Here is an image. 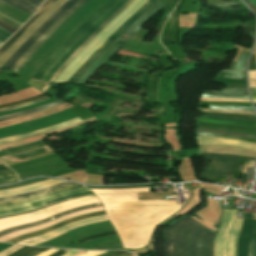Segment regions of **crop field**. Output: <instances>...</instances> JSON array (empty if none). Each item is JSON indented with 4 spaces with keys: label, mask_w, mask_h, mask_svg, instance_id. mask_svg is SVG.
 <instances>
[{
    "label": "crop field",
    "mask_w": 256,
    "mask_h": 256,
    "mask_svg": "<svg viewBox=\"0 0 256 256\" xmlns=\"http://www.w3.org/2000/svg\"><path fill=\"white\" fill-rule=\"evenodd\" d=\"M215 231L186 217L166 230L165 256H212Z\"/></svg>",
    "instance_id": "8a807250"
},
{
    "label": "crop field",
    "mask_w": 256,
    "mask_h": 256,
    "mask_svg": "<svg viewBox=\"0 0 256 256\" xmlns=\"http://www.w3.org/2000/svg\"><path fill=\"white\" fill-rule=\"evenodd\" d=\"M118 0H108L98 11H96L85 23H83L71 37L60 46L51 57L41 66L36 72L33 78L41 79L47 72L53 63H55L59 57L72 45V43L86 31L97 19H99L111 6H113ZM127 0H119L113 7H111L99 20H97L82 36H80L74 44L61 56V58L53 64L47 74L43 77V80H49L55 71L70 57L75 49L105 20H107L120 6H122Z\"/></svg>",
    "instance_id": "ac0d7876"
},
{
    "label": "crop field",
    "mask_w": 256,
    "mask_h": 256,
    "mask_svg": "<svg viewBox=\"0 0 256 256\" xmlns=\"http://www.w3.org/2000/svg\"><path fill=\"white\" fill-rule=\"evenodd\" d=\"M163 5L164 3L156 1V3L149 10H147L139 19L129 26L126 31L98 57V59L81 75L76 84L85 85L86 81L106 62V60L114 55L122 47V45Z\"/></svg>",
    "instance_id": "34b2d1b8"
},
{
    "label": "crop field",
    "mask_w": 256,
    "mask_h": 256,
    "mask_svg": "<svg viewBox=\"0 0 256 256\" xmlns=\"http://www.w3.org/2000/svg\"><path fill=\"white\" fill-rule=\"evenodd\" d=\"M202 156L205 167L200 178L209 180H216L219 175L226 176L227 174H232L238 158L255 160L235 155L202 154ZM210 160H213L212 164L207 163Z\"/></svg>",
    "instance_id": "412701ff"
},
{
    "label": "crop field",
    "mask_w": 256,
    "mask_h": 256,
    "mask_svg": "<svg viewBox=\"0 0 256 256\" xmlns=\"http://www.w3.org/2000/svg\"><path fill=\"white\" fill-rule=\"evenodd\" d=\"M70 184H73V183H71L69 181H66V182H63V183H60V184H57V185H53V186H50V187H47V188H44V189H41V190H38V191H34V192L26 193V194H21V195H17V196H12V197L0 198V202L21 200V199L29 198V197H32V196H36V195H39V194H42V193H45V192H49V191H52V190L70 185ZM81 188H84V187L80 186V185L73 184V185H70V186H67V187H64V188L46 193V194H42V195H39V196H36V197H32V198H29V199H25V200H21V201L1 203L0 204V209L19 206V205H22V204H27V203L47 199V198H50V197H53V196H57V195H60V194L66 193V192H70V191H73V190L81 189Z\"/></svg>",
    "instance_id": "f4fd0767"
},
{
    "label": "crop field",
    "mask_w": 256,
    "mask_h": 256,
    "mask_svg": "<svg viewBox=\"0 0 256 256\" xmlns=\"http://www.w3.org/2000/svg\"><path fill=\"white\" fill-rule=\"evenodd\" d=\"M156 0H148L134 15H132L119 29H117L80 67V69L67 81L75 84L79 76L96 60V58L109 47L123 32L132 24L138 17H140L148 8H150Z\"/></svg>",
    "instance_id": "dd49c442"
},
{
    "label": "crop field",
    "mask_w": 256,
    "mask_h": 256,
    "mask_svg": "<svg viewBox=\"0 0 256 256\" xmlns=\"http://www.w3.org/2000/svg\"><path fill=\"white\" fill-rule=\"evenodd\" d=\"M78 0H69L54 14L51 15L14 53V55L3 65L2 69L9 71V69L17 62V60L27 51V49L74 3Z\"/></svg>",
    "instance_id": "e52e79f7"
},
{
    "label": "crop field",
    "mask_w": 256,
    "mask_h": 256,
    "mask_svg": "<svg viewBox=\"0 0 256 256\" xmlns=\"http://www.w3.org/2000/svg\"><path fill=\"white\" fill-rule=\"evenodd\" d=\"M87 0H79L70 9H68L18 60V62L11 68L12 70L19 71L20 68L27 62V60L38 50V48L54 33V31L80 6Z\"/></svg>",
    "instance_id": "d8731c3e"
},
{
    "label": "crop field",
    "mask_w": 256,
    "mask_h": 256,
    "mask_svg": "<svg viewBox=\"0 0 256 256\" xmlns=\"http://www.w3.org/2000/svg\"><path fill=\"white\" fill-rule=\"evenodd\" d=\"M198 144L199 145H222V146L236 147V148L256 151V144L223 139V138H215V137L198 136Z\"/></svg>",
    "instance_id": "5a996713"
},
{
    "label": "crop field",
    "mask_w": 256,
    "mask_h": 256,
    "mask_svg": "<svg viewBox=\"0 0 256 256\" xmlns=\"http://www.w3.org/2000/svg\"><path fill=\"white\" fill-rule=\"evenodd\" d=\"M57 0H47L38 12L18 31L16 32L1 48L0 56Z\"/></svg>",
    "instance_id": "3316defc"
},
{
    "label": "crop field",
    "mask_w": 256,
    "mask_h": 256,
    "mask_svg": "<svg viewBox=\"0 0 256 256\" xmlns=\"http://www.w3.org/2000/svg\"><path fill=\"white\" fill-rule=\"evenodd\" d=\"M132 0H128L115 14H113L105 23H103L75 52L74 54L56 71L55 75L50 79L47 85L42 90L43 92L51 85L59 73L66 67V65L78 54V52L88 44L116 15L125 9Z\"/></svg>",
    "instance_id": "28ad6ade"
},
{
    "label": "crop field",
    "mask_w": 256,
    "mask_h": 256,
    "mask_svg": "<svg viewBox=\"0 0 256 256\" xmlns=\"http://www.w3.org/2000/svg\"><path fill=\"white\" fill-rule=\"evenodd\" d=\"M104 214H106L105 211H101V212H95V213H90V214H85V215L77 216V217L68 219V220H66V221H63V222H61V223H58V224H56V225H53V226L44 228V229H42V230H40V231L33 232V233H30V234H26V235H23V236H20V237L11 239V240L6 241V242H13V243H16V242H18V241H21V240H24V239H28V238L34 237V236H36V235H39V234H42V233H46V232L55 230V229H57V228L62 227L63 225H65V224H67V223H71V222H74V221L82 220V219L89 218V217H93V216L104 215Z\"/></svg>",
    "instance_id": "d1516ede"
},
{
    "label": "crop field",
    "mask_w": 256,
    "mask_h": 256,
    "mask_svg": "<svg viewBox=\"0 0 256 256\" xmlns=\"http://www.w3.org/2000/svg\"><path fill=\"white\" fill-rule=\"evenodd\" d=\"M63 182V180H56V179H50L47 181L35 183V184H30L18 188H13V189H7V190H1L0 191V197H6V196H12V195H17L21 193H26L34 190H38L56 183Z\"/></svg>",
    "instance_id": "22f410ed"
},
{
    "label": "crop field",
    "mask_w": 256,
    "mask_h": 256,
    "mask_svg": "<svg viewBox=\"0 0 256 256\" xmlns=\"http://www.w3.org/2000/svg\"><path fill=\"white\" fill-rule=\"evenodd\" d=\"M254 220L244 219L242 230L237 244V256H247L249 237L252 232Z\"/></svg>",
    "instance_id": "cbeb9de0"
},
{
    "label": "crop field",
    "mask_w": 256,
    "mask_h": 256,
    "mask_svg": "<svg viewBox=\"0 0 256 256\" xmlns=\"http://www.w3.org/2000/svg\"><path fill=\"white\" fill-rule=\"evenodd\" d=\"M78 121H81V119H79L78 117H76V118H74V119L68 120V121H66V122L60 123V124L55 125V126H51V127H47V128H44V129H40V130L28 132V133L21 134V135H17V136L2 138V139H0V144H2V143H7V142H11V141H16V140H20V139H24V138L36 136V135H40V134L46 133V132H48V131L55 130V129H59V128L65 127V126H67V125L76 123V122H78Z\"/></svg>",
    "instance_id": "5142ce71"
},
{
    "label": "crop field",
    "mask_w": 256,
    "mask_h": 256,
    "mask_svg": "<svg viewBox=\"0 0 256 256\" xmlns=\"http://www.w3.org/2000/svg\"><path fill=\"white\" fill-rule=\"evenodd\" d=\"M84 191H88V189L87 188L81 189V190H78V191H74V192H71V193L63 194V195H60V196H57V197H54V198H50V199H47V200H44V201H40V202H36V203H32V204H27V205L15 207V208L3 209V210H0V216L10 215V214L22 212V211H25V210H29V209L45 206L44 203H46V202L53 201V200H56V199H59V198H63V197L69 196L71 194H75V193H79V192H84Z\"/></svg>",
    "instance_id": "d9b57169"
},
{
    "label": "crop field",
    "mask_w": 256,
    "mask_h": 256,
    "mask_svg": "<svg viewBox=\"0 0 256 256\" xmlns=\"http://www.w3.org/2000/svg\"><path fill=\"white\" fill-rule=\"evenodd\" d=\"M97 206H101V203H96V204H90V205H85V206H81V207H77V208H73V209H70V210H67V211H64V212H61L59 214H56L52 217H49L45 220H41V221H37V222H34L32 224H28V225H23V226H17V227H13V228H10V229H7V230H4V231H1L0 232V236L1 235H4V234H7L11 231H15V230H19V229H22V228H26V227H30V226H34V225H39V224H43V223H46V222H49V221H52L60 216H63L65 214H68V213H71V212H74V211H78V210H82V209H87V208H93V207H97Z\"/></svg>",
    "instance_id": "733c2abd"
},
{
    "label": "crop field",
    "mask_w": 256,
    "mask_h": 256,
    "mask_svg": "<svg viewBox=\"0 0 256 256\" xmlns=\"http://www.w3.org/2000/svg\"><path fill=\"white\" fill-rule=\"evenodd\" d=\"M200 152L204 153H229V154H235L240 156H246V157H256L255 152L242 150V149H236V148H229V147H204L200 146Z\"/></svg>",
    "instance_id": "4a817a6b"
},
{
    "label": "crop field",
    "mask_w": 256,
    "mask_h": 256,
    "mask_svg": "<svg viewBox=\"0 0 256 256\" xmlns=\"http://www.w3.org/2000/svg\"><path fill=\"white\" fill-rule=\"evenodd\" d=\"M0 13L4 14L20 23H24L27 19L30 18V15L4 3L0 0Z\"/></svg>",
    "instance_id": "bc2a9ffb"
},
{
    "label": "crop field",
    "mask_w": 256,
    "mask_h": 256,
    "mask_svg": "<svg viewBox=\"0 0 256 256\" xmlns=\"http://www.w3.org/2000/svg\"><path fill=\"white\" fill-rule=\"evenodd\" d=\"M29 14H34L44 0H3Z\"/></svg>",
    "instance_id": "214f88e0"
},
{
    "label": "crop field",
    "mask_w": 256,
    "mask_h": 256,
    "mask_svg": "<svg viewBox=\"0 0 256 256\" xmlns=\"http://www.w3.org/2000/svg\"><path fill=\"white\" fill-rule=\"evenodd\" d=\"M61 103H65V102H64V101H61V100H58V101H54V102L45 104V105H43V106H39V107L30 109V110H26V111L14 113V114L6 115V116H1V117H0V121H1V120H5V119H9V118H13V117H16V116L24 115V114L36 112V111H39V110H42V109H45V108H48V107H52V106L61 104Z\"/></svg>",
    "instance_id": "92a150f3"
},
{
    "label": "crop field",
    "mask_w": 256,
    "mask_h": 256,
    "mask_svg": "<svg viewBox=\"0 0 256 256\" xmlns=\"http://www.w3.org/2000/svg\"><path fill=\"white\" fill-rule=\"evenodd\" d=\"M202 93L247 95V89L222 88L221 91H203Z\"/></svg>",
    "instance_id": "dafd665d"
},
{
    "label": "crop field",
    "mask_w": 256,
    "mask_h": 256,
    "mask_svg": "<svg viewBox=\"0 0 256 256\" xmlns=\"http://www.w3.org/2000/svg\"><path fill=\"white\" fill-rule=\"evenodd\" d=\"M197 119H198V121H202V122L256 127V124H252V123H243V122H237V121H224V120H211V119H203V118H197Z\"/></svg>",
    "instance_id": "00972430"
},
{
    "label": "crop field",
    "mask_w": 256,
    "mask_h": 256,
    "mask_svg": "<svg viewBox=\"0 0 256 256\" xmlns=\"http://www.w3.org/2000/svg\"><path fill=\"white\" fill-rule=\"evenodd\" d=\"M248 256H256V220L254 222L253 233L250 237Z\"/></svg>",
    "instance_id": "a9b5d70f"
},
{
    "label": "crop field",
    "mask_w": 256,
    "mask_h": 256,
    "mask_svg": "<svg viewBox=\"0 0 256 256\" xmlns=\"http://www.w3.org/2000/svg\"><path fill=\"white\" fill-rule=\"evenodd\" d=\"M48 249H44V248H33L30 247L24 251H22L21 253L17 254L16 256H35L41 252H44Z\"/></svg>",
    "instance_id": "4177f3b9"
},
{
    "label": "crop field",
    "mask_w": 256,
    "mask_h": 256,
    "mask_svg": "<svg viewBox=\"0 0 256 256\" xmlns=\"http://www.w3.org/2000/svg\"><path fill=\"white\" fill-rule=\"evenodd\" d=\"M115 234H116V232H115V230H113V231H109V232L93 235V236H90V237H86V238L80 239V240L75 241V242L81 244L83 242H86V241H89V240H92V239H96V238H100V237H105V236H110V235H115Z\"/></svg>",
    "instance_id": "730fd06b"
},
{
    "label": "crop field",
    "mask_w": 256,
    "mask_h": 256,
    "mask_svg": "<svg viewBox=\"0 0 256 256\" xmlns=\"http://www.w3.org/2000/svg\"><path fill=\"white\" fill-rule=\"evenodd\" d=\"M196 130H197V131H203V132H212V133H218V134L242 136V137H248V138L256 139V136H254V135H246V134H238V133H229V132L214 131V130H203V129H196Z\"/></svg>",
    "instance_id": "eef30255"
},
{
    "label": "crop field",
    "mask_w": 256,
    "mask_h": 256,
    "mask_svg": "<svg viewBox=\"0 0 256 256\" xmlns=\"http://www.w3.org/2000/svg\"><path fill=\"white\" fill-rule=\"evenodd\" d=\"M200 111L226 112V113H236V114H248V115H254V112L236 111V110H217V109H204V108H200Z\"/></svg>",
    "instance_id": "ae1a2a85"
},
{
    "label": "crop field",
    "mask_w": 256,
    "mask_h": 256,
    "mask_svg": "<svg viewBox=\"0 0 256 256\" xmlns=\"http://www.w3.org/2000/svg\"><path fill=\"white\" fill-rule=\"evenodd\" d=\"M50 98H52V97L46 96L44 98L38 99V100L33 101V102H29V103H25V104L13 106V107L5 108V109H0V112H4V111L20 108V107H23V106L31 105V104H34V103L42 102V101H45V100L50 99Z\"/></svg>",
    "instance_id": "d3111659"
},
{
    "label": "crop field",
    "mask_w": 256,
    "mask_h": 256,
    "mask_svg": "<svg viewBox=\"0 0 256 256\" xmlns=\"http://www.w3.org/2000/svg\"><path fill=\"white\" fill-rule=\"evenodd\" d=\"M197 135L219 136V137H224V138H230V139H236V140H243V141H249V142L256 143V140L248 139V138H242V137L217 135V134H211V133H197Z\"/></svg>",
    "instance_id": "750c4746"
},
{
    "label": "crop field",
    "mask_w": 256,
    "mask_h": 256,
    "mask_svg": "<svg viewBox=\"0 0 256 256\" xmlns=\"http://www.w3.org/2000/svg\"><path fill=\"white\" fill-rule=\"evenodd\" d=\"M42 96H45V95L41 94V95H37V96L31 97V98H28V99L23 100V101H18V102H12V103H8V104H4V105H1L0 108L9 107V106H13V105H17V104L33 101V100H35L37 98H40Z\"/></svg>",
    "instance_id": "bd1437ed"
},
{
    "label": "crop field",
    "mask_w": 256,
    "mask_h": 256,
    "mask_svg": "<svg viewBox=\"0 0 256 256\" xmlns=\"http://www.w3.org/2000/svg\"><path fill=\"white\" fill-rule=\"evenodd\" d=\"M209 108L236 109V110H249V111H253L251 107H232V106L209 105Z\"/></svg>",
    "instance_id": "1d83c4d3"
},
{
    "label": "crop field",
    "mask_w": 256,
    "mask_h": 256,
    "mask_svg": "<svg viewBox=\"0 0 256 256\" xmlns=\"http://www.w3.org/2000/svg\"><path fill=\"white\" fill-rule=\"evenodd\" d=\"M17 176L12 175V176H8V177H4V178H0V184H4V183H10V182H14L17 181Z\"/></svg>",
    "instance_id": "120bbe31"
},
{
    "label": "crop field",
    "mask_w": 256,
    "mask_h": 256,
    "mask_svg": "<svg viewBox=\"0 0 256 256\" xmlns=\"http://www.w3.org/2000/svg\"><path fill=\"white\" fill-rule=\"evenodd\" d=\"M0 28L5 29V30H7L11 33H13L14 31L17 30V28H15V27H13V26L5 23V22H2V21H0Z\"/></svg>",
    "instance_id": "d32e631a"
},
{
    "label": "crop field",
    "mask_w": 256,
    "mask_h": 256,
    "mask_svg": "<svg viewBox=\"0 0 256 256\" xmlns=\"http://www.w3.org/2000/svg\"><path fill=\"white\" fill-rule=\"evenodd\" d=\"M0 19L5 21V22H7V23H9V24H11V25H13V26H15V27H17V28H19L21 26V24L13 21V20H11V19H9V18H7V17H5V16H3L1 14H0Z\"/></svg>",
    "instance_id": "5866460e"
},
{
    "label": "crop field",
    "mask_w": 256,
    "mask_h": 256,
    "mask_svg": "<svg viewBox=\"0 0 256 256\" xmlns=\"http://www.w3.org/2000/svg\"><path fill=\"white\" fill-rule=\"evenodd\" d=\"M10 35L11 33L0 29V42L3 43Z\"/></svg>",
    "instance_id": "028f5c9d"
},
{
    "label": "crop field",
    "mask_w": 256,
    "mask_h": 256,
    "mask_svg": "<svg viewBox=\"0 0 256 256\" xmlns=\"http://www.w3.org/2000/svg\"><path fill=\"white\" fill-rule=\"evenodd\" d=\"M202 97H207V98H249L248 96H206V95H202Z\"/></svg>",
    "instance_id": "e1f06a70"
},
{
    "label": "crop field",
    "mask_w": 256,
    "mask_h": 256,
    "mask_svg": "<svg viewBox=\"0 0 256 256\" xmlns=\"http://www.w3.org/2000/svg\"><path fill=\"white\" fill-rule=\"evenodd\" d=\"M236 2H228V3H221V4H208V6H241L240 4H238Z\"/></svg>",
    "instance_id": "0bd39190"
},
{
    "label": "crop field",
    "mask_w": 256,
    "mask_h": 256,
    "mask_svg": "<svg viewBox=\"0 0 256 256\" xmlns=\"http://www.w3.org/2000/svg\"><path fill=\"white\" fill-rule=\"evenodd\" d=\"M12 174H15V173L10 169L0 171V177L12 175Z\"/></svg>",
    "instance_id": "b80d0937"
},
{
    "label": "crop field",
    "mask_w": 256,
    "mask_h": 256,
    "mask_svg": "<svg viewBox=\"0 0 256 256\" xmlns=\"http://www.w3.org/2000/svg\"><path fill=\"white\" fill-rule=\"evenodd\" d=\"M43 180H47V178H43L34 182H30V183H35V182H39V181H43ZM30 183H26V184H30ZM26 184H22V185H26ZM22 185H14V186H7V187H0V189H6V188H13V187H18V186H22Z\"/></svg>",
    "instance_id": "c035e120"
},
{
    "label": "crop field",
    "mask_w": 256,
    "mask_h": 256,
    "mask_svg": "<svg viewBox=\"0 0 256 256\" xmlns=\"http://www.w3.org/2000/svg\"><path fill=\"white\" fill-rule=\"evenodd\" d=\"M69 250H66V249H61L60 251L50 255V256H61L63 254H65L66 252H68Z\"/></svg>",
    "instance_id": "c21b1889"
},
{
    "label": "crop field",
    "mask_w": 256,
    "mask_h": 256,
    "mask_svg": "<svg viewBox=\"0 0 256 256\" xmlns=\"http://www.w3.org/2000/svg\"><path fill=\"white\" fill-rule=\"evenodd\" d=\"M55 251H57V250L51 249V250H48V251H46V252H44V253H42V254H40L38 256H48V255H50L51 253H53Z\"/></svg>",
    "instance_id": "03da06ac"
},
{
    "label": "crop field",
    "mask_w": 256,
    "mask_h": 256,
    "mask_svg": "<svg viewBox=\"0 0 256 256\" xmlns=\"http://www.w3.org/2000/svg\"><path fill=\"white\" fill-rule=\"evenodd\" d=\"M124 253H127V252H123V251H117V252H113L107 256H118V255H121V254H124Z\"/></svg>",
    "instance_id": "b54c1fbb"
},
{
    "label": "crop field",
    "mask_w": 256,
    "mask_h": 256,
    "mask_svg": "<svg viewBox=\"0 0 256 256\" xmlns=\"http://www.w3.org/2000/svg\"><path fill=\"white\" fill-rule=\"evenodd\" d=\"M26 248H28V247H24V248H22V249H20V250H18V251H16V252H14V253H12V254L9 255V256H14V255H16L17 253L21 252L22 250H24V249H26Z\"/></svg>",
    "instance_id": "5d738f31"
},
{
    "label": "crop field",
    "mask_w": 256,
    "mask_h": 256,
    "mask_svg": "<svg viewBox=\"0 0 256 256\" xmlns=\"http://www.w3.org/2000/svg\"><path fill=\"white\" fill-rule=\"evenodd\" d=\"M254 11H255V13H256V8L252 5V4H250L247 0H244Z\"/></svg>",
    "instance_id": "d23c7cc5"
},
{
    "label": "crop field",
    "mask_w": 256,
    "mask_h": 256,
    "mask_svg": "<svg viewBox=\"0 0 256 256\" xmlns=\"http://www.w3.org/2000/svg\"><path fill=\"white\" fill-rule=\"evenodd\" d=\"M248 1L251 2L256 7V0H248Z\"/></svg>",
    "instance_id": "425ffa30"
},
{
    "label": "crop field",
    "mask_w": 256,
    "mask_h": 256,
    "mask_svg": "<svg viewBox=\"0 0 256 256\" xmlns=\"http://www.w3.org/2000/svg\"><path fill=\"white\" fill-rule=\"evenodd\" d=\"M111 252H113V251H108V252H106V253H103V254H101V255H98V256H105V255H107V254H109V253H111Z\"/></svg>",
    "instance_id": "25e5ab78"
},
{
    "label": "crop field",
    "mask_w": 256,
    "mask_h": 256,
    "mask_svg": "<svg viewBox=\"0 0 256 256\" xmlns=\"http://www.w3.org/2000/svg\"><path fill=\"white\" fill-rule=\"evenodd\" d=\"M1 169H7L3 164H0V170Z\"/></svg>",
    "instance_id": "73cf0c24"
},
{
    "label": "crop field",
    "mask_w": 256,
    "mask_h": 256,
    "mask_svg": "<svg viewBox=\"0 0 256 256\" xmlns=\"http://www.w3.org/2000/svg\"><path fill=\"white\" fill-rule=\"evenodd\" d=\"M244 217L252 218V215L245 214V216H244Z\"/></svg>",
    "instance_id": "89e229c0"
},
{
    "label": "crop field",
    "mask_w": 256,
    "mask_h": 256,
    "mask_svg": "<svg viewBox=\"0 0 256 256\" xmlns=\"http://www.w3.org/2000/svg\"><path fill=\"white\" fill-rule=\"evenodd\" d=\"M250 91H256V88H250Z\"/></svg>",
    "instance_id": "1f2cbd36"
},
{
    "label": "crop field",
    "mask_w": 256,
    "mask_h": 256,
    "mask_svg": "<svg viewBox=\"0 0 256 256\" xmlns=\"http://www.w3.org/2000/svg\"><path fill=\"white\" fill-rule=\"evenodd\" d=\"M128 255H130V253H127V254H124V255H121V256H128Z\"/></svg>",
    "instance_id": "dbb93151"
},
{
    "label": "crop field",
    "mask_w": 256,
    "mask_h": 256,
    "mask_svg": "<svg viewBox=\"0 0 256 256\" xmlns=\"http://www.w3.org/2000/svg\"><path fill=\"white\" fill-rule=\"evenodd\" d=\"M251 95H256V92H251Z\"/></svg>",
    "instance_id": "0fb4a251"
},
{
    "label": "crop field",
    "mask_w": 256,
    "mask_h": 256,
    "mask_svg": "<svg viewBox=\"0 0 256 256\" xmlns=\"http://www.w3.org/2000/svg\"><path fill=\"white\" fill-rule=\"evenodd\" d=\"M207 95H212V94H207Z\"/></svg>",
    "instance_id": "1d79db26"
},
{
    "label": "crop field",
    "mask_w": 256,
    "mask_h": 256,
    "mask_svg": "<svg viewBox=\"0 0 256 256\" xmlns=\"http://www.w3.org/2000/svg\"><path fill=\"white\" fill-rule=\"evenodd\" d=\"M0 45H1V43H0Z\"/></svg>",
    "instance_id": "9d1cf04e"
},
{
    "label": "crop field",
    "mask_w": 256,
    "mask_h": 256,
    "mask_svg": "<svg viewBox=\"0 0 256 256\" xmlns=\"http://www.w3.org/2000/svg\"><path fill=\"white\" fill-rule=\"evenodd\" d=\"M1 244V243H0Z\"/></svg>",
    "instance_id": "447ae74e"
}]
</instances>
